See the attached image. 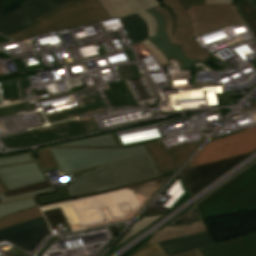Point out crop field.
<instances>
[{
  "mask_svg": "<svg viewBox=\"0 0 256 256\" xmlns=\"http://www.w3.org/2000/svg\"><path fill=\"white\" fill-rule=\"evenodd\" d=\"M49 149L54 158L64 157L75 180L64 184L71 199L162 176L146 144L126 149Z\"/></svg>",
  "mask_w": 256,
  "mask_h": 256,
  "instance_id": "obj_1",
  "label": "crop field"
},
{
  "mask_svg": "<svg viewBox=\"0 0 256 256\" xmlns=\"http://www.w3.org/2000/svg\"><path fill=\"white\" fill-rule=\"evenodd\" d=\"M154 7L166 19L171 43L180 46L186 57L203 61L211 56L195 43L193 37L214 29L246 24L234 5H203L183 8L179 0H159Z\"/></svg>",
  "mask_w": 256,
  "mask_h": 256,
  "instance_id": "obj_2",
  "label": "crop field"
},
{
  "mask_svg": "<svg viewBox=\"0 0 256 256\" xmlns=\"http://www.w3.org/2000/svg\"><path fill=\"white\" fill-rule=\"evenodd\" d=\"M196 207L203 220L256 210V163L216 189Z\"/></svg>",
  "mask_w": 256,
  "mask_h": 256,
  "instance_id": "obj_3",
  "label": "crop field"
},
{
  "mask_svg": "<svg viewBox=\"0 0 256 256\" xmlns=\"http://www.w3.org/2000/svg\"><path fill=\"white\" fill-rule=\"evenodd\" d=\"M108 19L106 11L98 0H72L36 19L39 23L8 37L18 41Z\"/></svg>",
  "mask_w": 256,
  "mask_h": 256,
  "instance_id": "obj_4",
  "label": "crop field"
},
{
  "mask_svg": "<svg viewBox=\"0 0 256 256\" xmlns=\"http://www.w3.org/2000/svg\"><path fill=\"white\" fill-rule=\"evenodd\" d=\"M256 150V126L207 143L188 166H198Z\"/></svg>",
  "mask_w": 256,
  "mask_h": 256,
  "instance_id": "obj_5",
  "label": "crop field"
},
{
  "mask_svg": "<svg viewBox=\"0 0 256 256\" xmlns=\"http://www.w3.org/2000/svg\"><path fill=\"white\" fill-rule=\"evenodd\" d=\"M70 0H25L21 7L3 15L0 14V34L11 35L37 23L34 19L63 5Z\"/></svg>",
  "mask_w": 256,
  "mask_h": 256,
  "instance_id": "obj_6",
  "label": "crop field"
},
{
  "mask_svg": "<svg viewBox=\"0 0 256 256\" xmlns=\"http://www.w3.org/2000/svg\"><path fill=\"white\" fill-rule=\"evenodd\" d=\"M51 234L44 217L0 230V241L7 240L32 251L45 235Z\"/></svg>",
  "mask_w": 256,
  "mask_h": 256,
  "instance_id": "obj_7",
  "label": "crop field"
},
{
  "mask_svg": "<svg viewBox=\"0 0 256 256\" xmlns=\"http://www.w3.org/2000/svg\"><path fill=\"white\" fill-rule=\"evenodd\" d=\"M47 180L37 161L0 167V185L5 191Z\"/></svg>",
  "mask_w": 256,
  "mask_h": 256,
  "instance_id": "obj_8",
  "label": "crop field"
},
{
  "mask_svg": "<svg viewBox=\"0 0 256 256\" xmlns=\"http://www.w3.org/2000/svg\"><path fill=\"white\" fill-rule=\"evenodd\" d=\"M99 2L107 11L110 19L139 14L148 25L149 37L155 35L156 21L145 10L161 5L157 0H99Z\"/></svg>",
  "mask_w": 256,
  "mask_h": 256,
  "instance_id": "obj_9",
  "label": "crop field"
},
{
  "mask_svg": "<svg viewBox=\"0 0 256 256\" xmlns=\"http://www.w3.org/2000/svg\"><path fill=\"white\" fill-rule=\"evenodd\" d=\"M249 154L250 153L203 166L187 168L180 175L191 195Z\"/></svg>",
  "mask_w": 256,
  "mask_h": 256,
  "instance_id": "obj_10",
  "label": "crop field"
},
{
  "mask_svg": "<svg viewBox=\"0 0 256 256\" xmlns=\"http://www.w3.org/2000/svg\"><path fill=\"white\" fill-rule=\"evenodd\" d=\"M199 248L203 256H256V232ZM228 242V244H226Z\"/></svg>",
  "mask_w": 256,
  "mask_h": 256,
  "instance_id": "obj_11",
  "label": "crop field"
},
{
  "mask_svg": "<svg viewBox=\"0 0 256 256\" xmlns=\"http://www.w3.org/2000/svg\"><path fill=\"white\" fill-rule=\"evenodd\" d=\"M157 20V33L156 36L149 38V40L169 59L179 58L182 60L184 67H192L196 60L188 59L185 57L179 46L170 44L165 31V19L153 8L147 10Z\"/></svg>",
  "mask_w": 256,
  "mask_h": 256,
  "instance_id": "obj_12",
  "label": "crop field"
},
{
  "mask_svg": "<svg viewBox=\"0 0 256 256\" xmlns=\"http://www.w3.org/2000/svg\"><path fill=\"white\" fill-rule=\"evenodd\" d=\"M216 243L210 231L174 240L159 242L167 256L176 255L202 246Z\"/></svg>",
  "mask_w": 256,
  "mask_h": 256,
  "instance_id": "obj_13",
  "label": "crop field"
},
{
  "mask_svg": "<svg viewBox=\"0 0 256 256\" xmlns=\"http://www.w3.org/2000/svg\"><path fill=\"white\" fill-rule=\"evenodd\" d=\"M163 231H165V234H163ZM208 231V228L205 224V221L196 222L192 225H186V226H180V227H165L163 230L157 232L153 235V239L156 242L173 239V238H179L183 235H192L200 232Z\"/></svg>",
  "mask_w": 256,
  "mask_h": 256,
  "instance_id": "obj_14",
  "label": "crop field"
},
{
  "mask_svg": "<svg viewBox=\"0 0 256 256\" xmlns=\"http://www.w3.org/2000/svg\"><path fill=\"white\" fill-rule=\"evenodd\" d=\"M50 147H121L114 133L83 138Z\"/></svg>",
  "mask_w": 256,
  "mask_h": 256,
  "instance_id": "obj_15",
  "label": "crop field"
},
{
  "mask_svg": "<svg viewBox=\"0 0 256 256\" xmlns=\"http://www.w3.org/2000/svg\"><path fill=\"white\" fill-rule=\"evenodd\" d=\"M121 21L131 39L132 44L148 38L147 26L139 15L135 14L121 18Z\"/></svg>",
  "mask_w": 256,
  "mask_h": 256,
  "instance_id": "obj_16",
  "label": "crop field"
},
{
  "mask_svg": "<svg viewBox=\"0 0 256 256\" xmlns=\"http://www.w3.org/2000/svg\"><path fill=\"white\" fill-rule=\"evenodd\" d=\"M203 142L204 141L167 149V152L177 170Z\"/></svg>",
  "mask_w": 256,
  "mask_h": 256,
  "instance_id": "obj_17",
  "label": "crop field"
},
{
  "mask_svg": "<svg viewBox=\"0 0 256 256\" xmlns=\"http://www.w3.org/2000/svg\"><path fill=\"white\" fill-rule=\"evenodd\" d=\"M34 197L17 199L0 204V218L13 214L17 211L37 206Z\"/></svg>",
  "mask_w": 256,
  "mask_h": 256,
  "instance_id": "obj_18",
  "label": "crop field"
},
{
  "mask_svg": "<svg viewBox=\"0 0 256 256\" xmlns=\"http://www.w3.org/2000/svg\"><path fill=\"white\" fill-rule=\"evenodd\" d=\"M42 216L43 215L39 207L24 210L22 212H18L16 214L0 219V229Z\"/></svg>",
  "mask_w": 256,
  "mask_h": 256,
  "instance_id": "obj_19",
  "label": "crop field"
},
{
  "mask_svg": "<svg viewBox=\"0 0 256 256\" xmlns=\"http://www.w3.org/2000/svg\"><path fill=\"white\" fill-rule=\"evenodd\" d=\"M147 146L161 171L174 168L161 141L148 143Z\"/></svg>",
  "mask_w": 256,
  "mask_h": 256,
  "instance_id": "obj_20",
  "label": "crop field"
},
{
  "mask_svg": "<svg viewBox=\"0 0 256 256\" xmlns=\"http://www.w3.org/2000/svg\"><path fill=\"white\" fill-rule=\"evenodd\" d=\"M238 5L256 40V1L239 0Z\"/></svg>",
  "mask_w": 256,
  "mask_h": 256,
  "instance_id": "obj_21",
  "label": "crop field"
},
{
  "mask_svg": "<svg viewBox=\"0 0 256 256\" xmlns=\"http://www.w3.org/2000/svg\"><path fill=\"white\" fill-rule=\"evenodd\" d=\"M131 256H166L158 244L151 238Z\"/></svg>",
  "mask_w": 256,
  "mask_h": 256,
  "instance_id": "obj_22",
  "label": "crop field"
},
{
  "mask_svg": "<svg viewBox=\"0 0 256 256\" xmlns=\"http://www.w3.org/2000/svg\"><path fill=\"white\" fill-rule=\"evenodd\" d=\"M160 216H162V215L155 216V217H142L141 220L134 223V225L126 232V234L123 235L122 240L117 245H119L122 242L133 237L135 234H137L139 231H141L144 227H146L149 223H151L153 220L159 218Z\"/></svg>",
  "mask_w": 256,
  "mask_h": 256,
  "instance_id": "obj_23",
  "label": "crop field"
},
{
  "mask_svg": "<svg viewBox=\"0 0 256 256\" xmlns=\"http://www.w3.org/2000/svg\"><path fill=\"white\" fill-rule=\"evenodd\" d=\"M56 192L57 193L36 196L39 205L70 199L65 188L58 189Z\"/></svg>",
  "mask_w": 256,
  "mask_h": 256,
  "instance_id": "obj_24",
  "label": "crop field"
},
{
  "mask_svg": "<svg viewBox=\"0 0 256 256\" xmlns=\"http://www.w3.org/2000/svg\"><path fill=\"white\" fill-rule=\"evenodd\" d=\"M36 160L32 151L0 158V166Z\"/></svg>",
  "mask_w": 256,
  "mask_h": 256,
  "instance_id": "obj_25",
  "label": "crop field"
},
{
  "mask_svg": "<svg viewBox=\"0 0 256 256\" xmlns=\"http://www.w3.org/2000/svg\"><path fill=\"white\" fill-rule=\"evenodd\" d=\"M38 162L43 170L56 167L55 162L47 147L37 150Z\"/></svg>",
  "mask_w": 256,
  "mask_h": 256,
  "instance_id": "obj_26",
  "label": "crop field"
},
{
  "mask_svg": "<svg viewBox=\"0 0 256 256\" xmlns=\"http://www.w3.org/2000/svg\"><path fill=\"white\" fill-rule=\"evenodd\" d=\"M53 191H54V189L52 187H49V188L38 189V190H34V191H30V192H26V193H22V194H18V195L9 196V197H6L4 195V193H1L0 194V202L11 200V199H16V198L44 194V193L53 192Z\"/></svg>",
  "mask_w": 256,
  "mask_h": 256,
  "instance_id": "obj_27",
  "label": "crop field"
},
{
  "mask_svg": "<svg viewBox=\"0 0 256 256\" xmlns=\"http://www.w3.org/2000/svg\"><path fill=\"white\" fill-rule=\"evenodd\" d=\"M44 216L46 217L47 221L49 222L50 226L57 224L59 222H65V218L61 213L60 209L45 211L43 212Z\"/></svg>",
  "mask_w": 256,
  "mask_h": 256,
  "instance_id": "obj_28",
  "label": "crop field"
},
{
  "mask_svg": "<svg viewBox=\"0 0 256 256\" xmlns=\"http://www.w3.org/2000/svg\"><path fill=\"white\" fill-rule=\"evenodd\" d=\"M142 43L157 58V60L160 62L161 65L168 63V61L165 59L162 53L149 40H146Z\"/></svg>",
  "mask_w": 256,
  "mask_h": 256,
  "instance_id": "obj_29",
  "label": "crop field"
},
{
  "mask_svg": "<svg viewBox=\"0 0 256 256\" xmlns=\"http://www.w3.org/2000/svg\"><path fill=\"white\" fill-rule=\"evenodd\" d=\"M49 186H51V185H50L49 181H47V182L39 183L36 185L8 191V192H5V194H6V196H9V195L18 194V193H22V192H26V191H30V190H34V189H38V188L49 187Z\"/></svg>",
  "mask_w": 256,
  "mask_h": 256,
  "instance_id": "obj_30",
  "label": "crop field"
},
{
  "mask_svg": "<svg viewBox=\"0 0 256 256\" xmlns=\"http://www.w3.org/2000/svg\"><path fill=\"white\" fill-rule=\"evenodd\" d=\"M61 174L70 173L63 158L54 159Z\"/></svg>",
  "mask_w": 256,
  "mask_h": 256,
  "instance_id": "obj_31",
  "label": "crop field"
},
{
  "mask_svg": "<svg viewBox=\"0 0 256 256\" xmlns=\"http://www.w3.org/2000/svg\"><path fill=\"white\" fill-rule=\"evenodd\" d=\"M205 0H180L183 7L185 6H196V5H203Z\"/></svg>",
  "mask_w": 256,
  "mask_h": 256,
  "instance_id": "obj_32",
  "label": "crop field"
},
{
  "mask_svg": "<svg viewBox=\"0 0 256 256\" xmlns=\"http://www.w3.org/2000/svg\"><path fill=\"white\" fill-rule=\"evenodd\" d=\"M205 4H232V0H206Z\"/></svg>",
  "mask_w": 256,
  "mask_h": 256,
  "instance_id": "obj_33",
  "label": "crop field"
},
{
  "mask_svg": "<svg viewBox=\"0 0 256 256\" xmlns=\"http://www.w3.org/2000/svg\"><path fill=\"white\" fill-rule=\"evenodd\" d=\"M176 256H202V255L200 254L198 249H196V250L189 251V252L179 254V255H176Z\"/></svg>",
  "mask_w": 256,
  "mask_h": 256,
  "instance_id": "obj_34",
  "label": "crop field"
},
{
  "mask_svg": "<svg viewBox=\"0 0 256 256\" xmlns=\"http://www.w3.org/2000/svg\"><path fill=\"white\" fill-rule=\"evenodd\" d=\"M232 96H237V95H228V96H223V94L217 95L219 102L233 100Z\"/></svg>",
  "mask_w": 256,
  "mask_h": 256,
  "instance_id": "obj_35",
  "label": "crop field"
},
{
  "mask_svg": "<svg viewBox=\"0 0 256 256\" xmlns=\"http://www.w3.org/2000/svg\"><path fill=\"white\" fill-rule=\"evenodd\" d=\"M175 171H176V168L170 169V170H166V171H162L161 173H162L163 176H165V175H167L166 173H170V172L175 173Z\"/></svg>",
  "mask_w": 256,
  "mask_h": 256,
  "instance_id": "obj_36",
  "label": "crop field"
},
{
  "mask_svg": "<svg viewBox=\"0 0 256 256\" xmlns=\"http://www.w3.org/2000/svg\"><path fill=\"white\" fill-rule=\"evenodd\" d=\"M8 41H10V40L0 36V43H4V42H8Z\"/></svg>",
  "mask_w": 256,
  "mask_h": 256,
  "instance_id": "obj_37",
  "label": "crop field"
},
{
  "mask_svg": "<svg viewBox=\"0 0 256 256\" xmlns=\"http://www.w3.org/2000/svg\"><path fill=\"white\" fill-rule=\"evenodd\" d=\"M254 109H256V107H254V108H249V109H245V110H241V111L247 112V111L254 110Z\"/></svg>",
  "mask_w": 256,
  "mask_h": 256,
  "instance_id": "obj_38",
  "label": "crop field"
},
{
  "mask_svg": "<svg viewBox=\"0 0 256 256\" xmlns=\"http://www.w3.org/2000/svg\"><path fill=\"white\" fill-rule=\"evenodd\" d=\"M1 192H4V190H3V188L0 186V193H1Z\"/></svg>",
  "mask_w": 256,
  "mask_h": 256,
  "instance_id": "obj_39",
  "label": "crop field"
}]
</instances>
